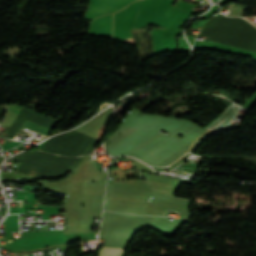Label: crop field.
Wrapping results in <instances>:
<instances>
[{
  "label": "crop field",
  "instance_id": "obj_1",
  "mask_svg": "<svg viewBox=\"0 0 256 256\" xmlns=\"http://www.w3.org/2000/svg\"><path fill=\"white\" fill-rule=\"evenodd\" d=\"M107 196L150 200L153 194L145 183H108Z\"/></svg>",
  "mask_w": 256,
  "mask_h": 256
},
{
  "label": "crop field",
  "instance_id": "obj_2",
  "mask_svg": "<svg viewBox=\"0 0 256 256\" xmlns=\"http://www.w3.org/2000/svg\"><path fill=\"white\" fill-rule=\"evenodd\" d=\"M125 249L101 247L97 256H123Z\"/></svg>",
  "mask_w": 256,
  "mask_h": 256
},
{
  "label": "crop field",
  "instance_id": "obj_3",
  "mask_svg": "<svg viewBox=\"0 0 256 256\" xmlns=\"http://www.w3.org/2000/svg\"><path fill=\"white\" fill-rule=\"evenodd\" d=\"M166 134L164 133H158L154 136H152L151 138L147 139L146 141H144L143 143L139 144L138 146H136L135 148L131 149L130 151L124 153L125 155L131 156L132 154H134L136 151H138L140 148H142L143 146L149 144L150 142L164 136Z\"/></svg>",
  "mask_w": 256,
  "mask_h": 256
}]
</instances>
